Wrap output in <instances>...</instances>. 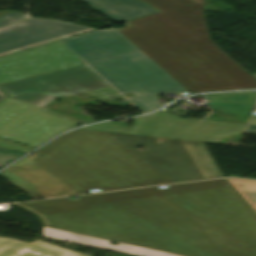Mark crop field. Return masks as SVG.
Returning a JSON list of instances; mask_svg holds the SVG:
<instances>
[{"instance_id":"1","label":"crop field","mask_w":256,"mask_h":256,"mask_svg":"<svg viewBox=\"0 0 256 256\" xmlns=\"http://www.w3.org/2000/svg\"><path fill=\"white\" fill-rule=\"evenodd\" d=\"M15 205L47 238L139 256H256V213L226 179Z\"/></svg>"},{"instance_id":"2","label":"crop field","mask_w":256,"mask_h":256,"mask_svg":"<svg viewBox=\"0 0 256 256\" xmlns=\"http://www.w3.org/2000/svg\"><path fill=\"white\" fill-rule=\"evenodd\" d=\"M157 139L76 130L0 175L43 198L224 177L204 143ZM141 144L143 153L136 149Z\"/></svg>"},{"instance_id":"3","label":"crop field","mask_w":256,"mask_h":256,"mask_svg":"<svg viewBox=\"0 0 256 256\" xmlns=\"http://www.w3.org/2000/svg\"><path fill=\"white\" fill-rule=\"evenodd\" d=\"M141 1L160 13L118 31L189 92L256 88V79L210 41L203 0Z\"/></svg>"},{"instance_id":"4","label":"crop field","mask_w":256,"mask_h":256,"mask_svg":"<svg viewBox=\"0 0 256 256\" xmlns=\"http://www.w3.org/2000/svg\"><path fill=\"white\" fill-rule=\"evenodd\" d=\"M116 29L97 30L0 57V84L88 63L142 111L162 106L153 94L187 91Z\"/></svg>"},{"instance_id":"5","label":"crop field","mask_w":256,"mask_h":256,"mask_svg":"<svg viewBox=\"0 0 256 256\" xmlns=\"http://www.w3.org/2000/svg\"><path fill=\"white\" fill-rule=\"evenodd\" d=\"M58 96L27 92L0 103V138L37 147L80 122L46 111L42 106Z\"/></svg>"},{"instance_id":"6","label":"crop field","mask_w":256,"mask_h":256,"mask_svg":"<svg viewBox=\"0 0 256 256\" xmlns=\"http://www.w3.org/2000/svg\"><path fill=\"white\" fill-rule=\"evenodd\" d=\"M246 125L180 118L166 110L134 119L130 129L125 121L107 122L87 128L134 131L140 135L220 143L222 137L242 134Z\"/></svg>"},{"instance_id":"7","label":"crop field","mask_w":256,"mask_h":256,"mask_svg":"<svg viewBox=\"0 0 256 256\" xmlns=\"http://www.w3.org/2000/svg\"><path fill=\"white\" fill-rule=\"evenodd\" d=\"M95 28L31 18L30 15L5 10L0 12V56L69 38Z\"/></svg>"},{"instance_id":"8","label":"crop field","mask_w":256,"mask_h":256,"mask_svg":"<svg viewBox=\"0 0 256 256\" xmlns=\"http://www.w3.org/2000/svg\"><path fill=\"white\" fill-rule=\"evenodd\" d=\"M0 90L7 96L35 91L59 96L66 94L89 95L95 96L99 100L122 97L87 65L1 85Z\"/></svg>"},{"instance_id":"9","label":"crop field","mask_w":256,"mask_h":256,"mask_svg":"<svg viewBox=\"0 0 256 256\" xmlns=\"http://www.w3.org/2000/svg\"><path fill=\"white\" fill-rule=\"evenodd\" d=\"M114 23H122L157 12L138 0H83Z\"/></svg>"},{"instance_id":"10","label":"crop field","mask_w":256,"mask_h":256,"mask_svg":"<svg viewBox=\"0 0 256 256\" xmlns=\"http://www.w3.org/2000/svg\"><path fill=\"white\" fill-rule=\"evenodd\" d=\"M0 256H86L35 240L31 243L0 237Z\"/></svg>"},{"instance_id":"11","label":"crop field","mask_w":256,"mask_h":256,"mask_svg":"<svg viewBox=\"0 0 256 256\" xmlns=\"http://www.w3.org/2000/svg\"><path fill=\"white\" fill-rule=\"evenodd\" d=\"M241 197L256 212V181L227 179Z\"/></svg>"},{"instance_id":"12","label":"crop field","mask_w":256,"mask_h":256,"mask_svg":"<svg viewBox=\"0 0 256 256\" xmlns=\"http://www.w3.org/2000/svg\"><path fill=\"white\" fill-rule=\"evenodd\" d=\"M25 153L0 148V166L24 155ZM7 165V164H6ZM5 166V165H4ZM3 167V166H2Z\"/></svg>"},{"instance_id":"13","label":"crop field","mask_w":256,"mask_h":256,"mask_svg":"<svg viewBox=\"0 0 256 256\" xmlns=\"http://www.w3.org/2000/svg\"><path fill=\"white\" fill-rule=\"evenodd\" d=\"M0 147L13 149V150H17V151H21V152H25V153H28L32 150V148L23 146L21 144L15 143V142L7 141L4 139H0Z\"/></svg>"},{"instance_id":"14","label":"crop field","mask_w":256,"mask_h":256,"mask_svg":"<svg viewBox=\"0 0 256 256\" xmlns=\"http://www.w3.org/2000/svg\"><path fill=\"white\" fill-rule=\"evenodd\" d=\"M244 133L256 135V116L251 115Z\"/></svg>"},{"instance_id":"15","label":"crop field","mask_w":256,"mask_h":256,"mask_svg":"<svg viewBox=\"0 0 256 256\" xmlns=\"http://www.w3.org/2000/svg\"><path fill=\"white\" fill-rule=\"evenodd\" d=\"M82 129H87V128H82ZM88 130H95V129H88ZM102 131H105V130H102ZM110 132L127 133V134H135V135L140 134V133H133V132H119V131H110Z\"/></svg>"},{"instance_id":"16","label":"crop field","mask_w":256,"mask_h":256,"mask_svg":"<svg viewBox=\"0 0 256 256\" xmlns=\"http://www.w3.org/2000/svg\"><path fill=\"white\" fill-rule=\"evenodd\" d=\"M5 97H6V96L0 92V100H2V99L5 98Z\"/></svg>"},{"instance_id":"17","label":"crop field","mask_w":256,"mask_h":256,"mask_svg":"<svg viewBox=\"0 0 256 256\" xmlns=\"http://www.w3.org/2000/svg\"><path fill=\"white\" fill-rule=\"evenodd\" d=\"M255 78H256V74L255 75H253Z\"/></svg>"}]
</instances>
